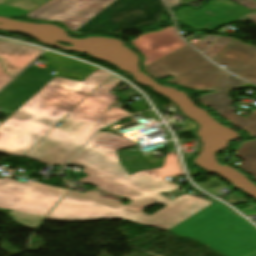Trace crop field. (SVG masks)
Here are the masks:
<instances>
[{"instance_id":"4a817a6b","label":"crop field","mask_w":256,"mask_h":256,"mask_svg":"<svg viewBox=\"0 0 256 256\" xmlns=\"http://www.w3.org/2000/svg\"><path fill=\"white\" fill-rule=\"evenodd\" d=\"M216 36L217 35H206L195 48L203 51Z\"/></svg>"},{"instance_id":"d9b57169","label":"crop field","mask_w":256,"mask_h":256,"mask_svg":"<svg viewBox=\"0 0 256 256\" xmlns=\"http://www.w3.org/2000/svg\"><path fill=\"white\" fill-rule=\"evenodd\" d=\"M230 37L219 36L215 42L204 52L212 60L215 59L223 49L233 40Z\"/></svg>"},{"instance_id":"dafd665d","label":"crop field","mask_w":256,"mask_h":256,"mask_svg":"<svg viewBox=\"0 0 256 256\" xmlns=\"http://www.w3.org/2000/svg\"><path fill=\"white\" fill-rule=\"evenodd\" d=\"M167 2L169 3L170 7L179 4L178 0H167Z\"/></svg>"},{"instance_id":"00972430","label":"crop field","mask_w":256,"mask_h":256,"mask_svg":"<svg viewBox=\"0 0 256 256\" xmlns=\"http://www.w3.org/2000/svg\"><path fill=\"white\" fill-rule=\"evenodd\" d=\"M250 20H252L253 22L256 23V15H253V16H247ZM247 18V19H248Z\"/></svg>"},{"instance_id":"5a996713","label":"crop field","mask_w":256,"mask_h":256,"mask_svg":"<svg viewBox=\"0 0 256 256\" xmlns=\"http://www.w3.org/2000/svg\"><path fill=\"white\" fill-rule=\"evenodd\" d=\"M41 58L47 59L48 67L45 70L34 68L35 64L28 67L16 79L29 83L46 85L54 76L73 77L84 80L97 68L82 64L62 56L46 52ZM52 71L57 72L54 76L49 75Z\"/></svg>"},{"instance_id":"3316defc","label":"crop field","mask_w":256,"mask_h":256,"mask_svg":"<svg viewBox=\"0 0 256 256\" xmlns=\"http://www.w3.org/2000/svg\"><path fill=\"white\" fill-rule=\"evenodd\" d=\"M214 62L224 64L231 73L256 83V46L233 40Z\"/></svg>"},{"instance_id":"a9b5d70f","label":"crop field","mask_w":256,"mask_h":256,"mask_svg":"<svg viewBox=\"0 0 256 256\" xmlns=\"http://www.w3.org/2000/svg\"><path fill=\"white\" fill-rule=\"evenodd\" d=\"M1 124V123H0Z\"/></svg>"},{"instance_id":"dd49c442","label":"crop field","mask_w":256,"mask_h":256,"mask_svg":"<svg viewBox=\"0 0 256 256\" xmlns=\"http://www.w3.org/2000/svg\"><path fill=\"white\" fill-rule=\"evenodd\" d=\"M168 230L224 256H256V229L218 201Z\"/></svg>"},{"instance_id":"28ad6ade","label":"crop field","mask_w":256,"mask_h":256,"mask_svg":"<svg viewBox=\"0 0 256 256\" xmlns=\"http://www.w3.org/2000/svg\"><path fill=\"white\" fill-rule=\"evenodd\" d=\"M132 43L146 59L143 67L187 45L177 36L173 26L144 35Z\"/></svg>"},{"instance_id":"214f88e0","label":"crop field","mask_w":256,"mask_h":256,"mask_svg":"<svg viewBox=\"0 0 256 256\" xmlns=\"http://www.w3.org/2000/svg\"><path fill=\"white\" fill-rule=\"evenodd\" d=\"M12 78L7 76L0 65V89Z\"/></svg>"},{"instance_id":"8a807250","label":"crop field","mask_w":256,"mask_h":256,"mask_svg":"<svg viewBox=\"0 0 256 256\" xmlns=\"http://www.w3.org/2000/svg\"><path fill=\"white\" fill-rule=\"evenodd\" d=\"M136 144L110 132H98L70 162L85 167L81 172L89 175L79 181L123 196L132 201L129 205L125 207L118 201L98 197L101 194L95 191L82 193L69 190L46 219H128L168 230L213 203L187 194L171 201L159 194L180 188L165 178L183 175L176 153L166 155L162 168L129 176L119 164L116 150ZM154 204L167 206L150 216L141 212Z\"/></svg>"},{"instance_id":"f4fd0767","label":"crop field","mask_w":256,"mask_h":256,"mask_svg":"<svg viewBox=\"0 0 256 256\" xmlns=\"http://www.w3.org/2000/svg\"><path fill=\"white\" fill-rule=\"evenodd\" d=\"M121 82L114 76L108 79L24 157L50 166H64L98 129L130 115L118 107H111L106 113L90 109L96 102L111 106L117 97L108 92Z\"/></svg>"},{"instance_id":"cbeb9de0","label":"crop field","mask_w":256,"mask_h":256,"mask_svg":"<svg viewBox=\"0 0 256 256\" xmlns=\"http://www.w3.org/2000/svg\"><path fill=\"white\" fill-rule=\"evenodd\" d=\"M46 0H0V15H23ZM28 7V9H26Z\"/></svg>"},{"instance_id":"d1516ede","label":"crop field","mask_w":256,"mask_h":256,"mask_svg":"<svg viewBox=\"0 0 256 256\" xmlns=\"http://www.w3.org/2000/svg\"><path fill=\"white\" fill-rule=\"evenodd\" d=\"M43 51L44 50L15 42L0 41V59L2 60L5 70L12 77L18 74Z\"/></svg>"},{"instance_id":"412701ff","label":"crop field","mask_w":256,"mask_h":256,"mask_svg":"<svg viewBox=\"0 0 256 256\" xmlns=\"http://www.w3.org/2000/svg\"><path fill=\"white\" fill-rule=\"evenodd\" d=\"M149 76L160 79L173 76L166 82L185 86L197 91H216L197 100L222 116L227 122L239 127L251 137H256V110L247 119L228 107L232 90L256 86L239 80L214 66L188 45L177 52L143 69Z\"/></svg>"},{"instance_id":"733c2abd","label":"crop field","mask_w":256,"mask_h":256,"mask_svg":"<svg viewBox=\"0 0 256 256\" xmlns=\"http://www.w3.org/2000/svg\"><path fill=\"white\" fill-rule=\"evenodd\" d=\"M222 199L232 205L246 202L243 198H241L240 196H238L237 194H234V193H231Z\"/></svg>"},{"instance_id":"34b2d1b8","label":"crop field","mask_w":256,"mask_h":256,"mask_svg":"<svg viewBox=\"0 0 256 256\" xmlns=\"http://www.w3.org/2000/svg\"><path fill=\"white\" fill-rule=\"evenodd\" d=\"M162 0H50L26 15L29 19L55 22L70 33L117 35L123 30L165 21Z\"/></svg>"},{"instance_id":"bc2a9ffb","label":"crop field","mask_w":256,"mask_h":256,"mask_svg":"<svg viewBox=\"0 0 256 256\" xmlns=\"http://www.w3.org/2000/svg\"><path fill=\"white\" fill-rule=\"evenodd\" d=\"M129 105L132 106L131 110L134 112L141 111V110L144 111L145 109H148L144 100H141V101L129 104ZM135 107H137V108H135Z\"/></svg>"},{"instance_id":"e52e79f7","label":"crop field","mask_w":256,"mask_h":256,"mask_svg":"<svg viewBox=\"0 0 256 256\" xmlns=\"http://www.w3.org/2000/svg\"><path fill=\"white\" fill-rule=\"evenodd\" d=\"M67 190L41 183L0 180V208L12 210L14 222L34 229Z\"/></svg>"},{"instance_id":"92a150f3","label":"crop field","mask_w":256,"mask_h":256,"mask_svg":"<svg viewBox=\"0 0 256 256\" xmlns=\"http://www.w3.org/2000/svg\"><path fill=\"white\" fill-rule=\"evenodd\" d=\"M108 107H109V106L96 103V104L92 107V109H96V110H100V111H104V112H105Z\"/></svg>"},{"instance_id":"22f410ed","label":"crop field","mask_w":256,"mask_h":256,"mask_svg":"<svg viewBox=\"0 0 256 256\" xmlns=\"http://www.w3.org/2000/svg\"><path fill=\"white\" fill-rule=\"evenodd\" d=\"M41 87L43 86L14 80L0 92V107L15 112Z\"/></svg>"},{"instance_id":"ac0d7876","label":"crop field","mask_w":256,"mask_h":256,"mask_svg":"<svg viewBox=\"0 0 256 256\" xmlns=\"http://www.w3.org/2000/svg\"><path fill=\"white\" fill-rule=\"evenodd\" d=\"M109 76L98 69L83 82L54 77L0 125V153L23 155Z\"/></svg>"},{"instance_id":"d8731c3e","label":"crop field","mask_w":256,"mask_h":256,"mask_svg":"<svg viewBox=\"0 0 256 256\" xmlns=\"http://www.w3.org/2000/svg\"><path fill=\"white\" fill-rule=\"evenodd\" d=\"M251 12L229 0L211 1L201 10L182 9L177 12L176 20L193 29L212 31L230 21Z\"/></svg>"},{"instance_id":"5142ce71","label":"crop field","mask_w":256,"mask_h":256,"mask_svg":"<svg viewBox=\"0 0 256 256\" xmlns=\"http://www.w3.org/2000/svg\"><path fill=\"white\" fill-rule=\"evenodd\" d=\"M236 155L245 160L239 167L256 181V141L242 144Z\"/></svg>"}]
</instances>
